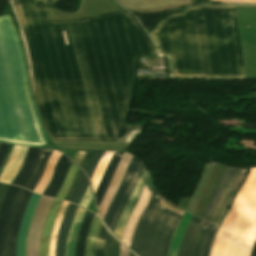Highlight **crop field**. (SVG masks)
<instances>
[{"label": "crop field", "mask_w": 256, "mask_h": 256, "mask_svg": "<svg viewBox=\"0 0 256 256\" xmlns=\"http://www.w3.org/2000/svg\"><path fill=\"white\" fill-rule=\"evenodd\" d=\"M70 162L71 161L67 157H65L63 154L61 155L55 167L53 176L42 195L55 197L61 183L63 182Z\"/></svg>", "instance_id": "crop-field-10"}, {"label": "crop field", "mask_w": 256, "mask_h": 256, "mask_svg": "<svg viewBox=\"0 0 256 256\" xmlns=\"http://www.w3.org/2000/svg\"><path fill=\"white\" fill-rule=\"evenodd\" d=\"M87 185H88V182H87L86 175L83 174V176L80 180V183H79V185H78V187H77V189H76V191H75V193L72 197V200H71L72 202H75L77 204L79 203Z\"/></svg>", "instance_id": "crop-field-28"}, {"label": "crop field", "mask_w": 256, "mask_h": 256, "mask_svg": "<svg viewBox=\"0 0 256 256\" xmlns=\"http://www.w3.org/2000/svg\"><path fill=\"white\" fill-rule=\"evenodd\" d=\"M141 161L134 155L133 158L131 159L130 161V164H129V167L114 195V198L109 206V209L104 217V222L105 224L107 225L108 229L111 225V222L113 220V217L118 209V207L120 206L123 198H124V195H125V192L134 176V173L136 171V168L138 166V164L140 163Z\"/></svg>", "instance_id": "crop-field-4"}, {"label": "crop field", "mask_w": 256, "mask_h": 256, "mask_svg": "<svg viewBox=\"0 0 256 256\" xmlns=\"http://www.w3.org/2000/svg\"><path fill=\"white\" fill-rule=\"evenodd\" d=\"M24 189L20 188L14 201H13V205H12V208L9 212V215H8V218H7V221H6V224H5V228H4V234H3V240H2V256H5V249H6V236H7V231H8V228L10 226V223H11V220H12V217H13V213H14V210L16 208V205L19 201V198L22 194Z\"/></svg>", "instance_id": "crop-field-26"}, {"label": "crop field", "mask_w": 256, "mask_h": 256, "mask_svg": "<svg viewBox=\"0 0 256 256\" xmlns=\"http://www.w3.org/2000/svg\"><path fill=\"white\" fill-rule=\"evenodd\" d=\"M112 154H113V152L105 151L101 161L99 162V164L90 180L91 184H92L93 192L95 191V189L100 181V178H101Z\"/></svg>", "instance_id": "crop-field-23"}, {"label": "crop field", "mask_w": 256, "mask_h": 256, "mask_svg": "<svg viewBox=\"0 0 256 256\" xmlns=\"http://www.w3.org/2000/svg\"><path fill=\"white\" fill-rule=\"evenodd\" d=\"M200 221V218L193 216L181 240L178 256H187L188 246L194 234V231Z\"/></svg>", "instance_id": "crop-field-20"}, {"label": "crop field", "mask_w": 256, "mask_h": 256, "mask_svg": "<svg viewBox=\"0 0 256 256\" xmlns=\"http://www.w3.org/2000/svg\"><path fill=\"white\" fill-rule=\"evenodd\" d=\"M78 169L79 168L76 165L71 163V165L69 167V170H68V173H67V176H66L60 190L58 191V193L56 195L57 198H61V199L64 198V196H65V194H66V192H67L75 174L77 173Z\"/></svg>", "instance_id": "crop-field-25"}, {"label": "crop field", "mask_w": 256, "mask_h": 256, "mask_svg": "<svg viewBox=\"0 0 256 256\" xmlns=\"http://www.w3.org/2000/svg\"><path fill=\"white\" fill-rule=\"evenodd\" d=\"M246 171L247 169H239L227 166L219 185L217 184L218 186L208 202L207 209L202 217L203 219L209 222L211 221L225 194L234 196L238 186L246 175ZM231 199V196L225 195L212 220V223L219 226Z\"/></svg>", "instance_id": "crop-field-3"}, {"label": "crop field", "mask_w": 256, "mask_h": 256, "mask_svg": "<svg viewBox=\"0 0 256 256\" xmlns=\"http://www.w3.org/2000/svg\"><path fill=\"white\" fill-rule=\"evenodd\" d=\"M8 146H9V144L0 143V165H1L2 161H3V159H4V156L6 154Z\"/></svg>", "instance_id": "crop-field-34"}, {"label": "crop field", "mask_w": 256, "mask_h": 256, "mask_svg": "<svg viewBox=\"0 0 256 256\" xmlns=\"http://www.w3.org/2000/svg\"><path fill=\"white\" fill-rule=\"evenodd\" d=\"M28 151L27 147L15 146L13 152L10 156V160L0 175V181L11 183L14 176L21 167V164L25 158V155Z\"/></svg>", "instance_id": "crop-field-9"}, {"label": "crop field", "mask_w": 256, "mask_h": 256, "mask_svg": "<svg viewBox=\"0 0 256 256\" xmlns=\"http://www.w3.org/2000/svg\"><path fill=\"white\" fill-rule=\"evenodd\" d=\"M92 196H91V193H90V190H89V187L87 188L81 202H80V205L84 206L87 208L90 200H91Z\"/></svg>", "instance_id": "crop-field-32"}, {"label": "crop field", "mask_w": 256, "mask_h": 256, "mask_svg": "<svg viewBox=\"0 0 256 256\" xmlns=\"http://www.w3.org/2000/svg\"><path fill=\"white\" fill-rule=\"evenodd\" d=\"M39 198H40L39 195H36L33 193L27 204L25 214L22 220V224L19 230L17 242H16V256H25L26 236L30 227L31 217L39 201Z\"/></svg>", "instance_id": "crop-field-7"}, {"label": "crop field", "mask_w": 256, "mask_h": 256, "mask_svg": "<svg viewBox=\"0 0 256 256\" xmlns=\"http://www.w3.org/2000/svg\"><path fill=\"white\" fill-rule=\"evenodd\" d=\"M159 199L154 188L133 234L130 249L138 256L168 255L169 243L181 216L158 206Z\"/></svg>", "instance_id": "crop-field-2"}, {"label": "crop field", "mask_w": 256, "mask_h": 256, "mask_svg": "<svg viewBox=\"0 0 256 256\" xmlns=\"http://www.w3.org/2000/svg\"><path fill=\"white\" fill-rule=\"evenodd\" d=\"M148 176H149V172L147 171V169L144 166L143 170L141 171V173L136 181V184L133 188L131 196L121 214V217H120L117 227L115 229L114 235L116 237H118L120 240L122 239V235H123V231L126 226V223L131 215V212H132L134 206L136 205V203L138 201L139 195L144 187V183L147 180Z\"/></svg>", "instance_id": "crop-field-5"}, {"label": "crop field", "mask_w": 256, "mask_h": 256, "mask_svg": "<svg viewBox=\"0 0 256 256\" xmlns=\"http://www.w3.org/2000/svg\"><path fill=\"white\" fill-rule=\"evenodd\" d=\"M7 187H8L7 184L1 183V185H0V207H1L2 201L4 199Z\"/></svg>", "instance_id": "crop-field-35"}, {"label": "crop field", "mask_w": 256, "mask_h": 256, "mask_svg": "<svg viewBox=\"0 0 256 256\" xmlns=\"http://www.w3.org/2000/svg\"><path fill=\"white\" fill-rule=\"evenodd\" d=\"M17 190H18V187H16V186H12V185L9 186V189L6 193L3 205L0 210V248H1V239H2V234H3L4 224H5L8 212L11 208L12 201H13V198H14Z\"/></svg>", "instance_id": "crop-field-17"}, {"label": "crop field", "mask_w": 256, "mask_h": 256, "mask_svg": "<svg viewBox=\"0 0 256 256\" xmlns=\"http://www.w3.org/2000/svg\"><path fill=\"white\" fill-rule=\"evenodd\" d=\"M111 238H112V236L110 235V233H108L107 240L105 243L104 256H108Z\"/></svg>", "instance_id": "crop-field-37"}, {"label": "crop field", "mask_w": 256, "mask_h": 256, "mask_svg": "<svg viewBox=\"0 0 256 256\" xmlns=\"http://www.w3.org/2000/svg\"><path fill=\"white\" fill-rule=\"evenodd\" d=\"M60 154L61 153H59L56 150L53 151V153H52V155H51V157H50V159L47 163V167H46V170L44 172V175H43L41 181L39 182V184L34 189V192L42 194L43 190L45 189L46 185L48 184V182L51 178L53 167H54L56 161L58 160Z\"/></svg>", "instance_id": "crop-field-19"}, {"label": "crop field", "mask_w": 256, "mask_h": 256, "mask_svg": "<svg viewBox=\"0 0 256 256\" xmlns=\"http://www.w3.org/2000/svg\"><path fill=\"white\" fill-rule=\"evenodd\" d=\"M202 226L207 228V231H206L205 235L202 238V242H201V245H200L198 256H208L210 245H211V242H212L213 237L215 235L216 227L209 224L208 222H206L204 220H201V222H200V224H199V226H198V228L195 232V235H194V237L192 239V242L190 244V247H189L188 256L192 255V251H193V248H194V245H195L197 234H198V232H199V230Z\"/></svg>", "instance_id": "crop-field-13"}, {"label": "crop field", "mask_w": 256, "mask_h": 256, "mask_svg": "<svg viewBox=\"0 0 256 256\" xmlns=\"http://www.w3.org/2000/svg\"><path fill=\"white\" fill-rule=\"evenodd\" d=\"M52 151L53 150L50 149L40 148L36 160L31 168V171L24 183L22 184L23 187H26L33 191L43 175L47 160L50 157Z\"/></svg>", "instance_id": "crop-field-8"}, {"label": "crop field", "mask_w": 256, "mask_h": 256, "mask_svg": "<svg viewBox=\"0 0 256 256\" xmlns=\"http://www.w3.org/2000/svg\"><path fill=\"white\" fill-rule=\"evenodd\" d=\"M119 246L120 244L113 238L111 247H110L109 256H118Z\"/></svg>", "instance_id": "crop-field-31"}, {"label": "crop field", "mask_w": 256, "mask_h": 256, "mask_svg": "<svg viewBox=\"0 0 256 256\" xmlns=\"http://www.w3.org/2000/svg\"><path fill=\"white\" fill-rule=\"evenodd\" d=\"M92 153H93V151H88V152H87V155H86L85 159L82 161V163H81V165H80L82 168L85 169V167H86V165H87V163H88V161H89V159H90Z\"/></svg>", "instance_id": "crop-field-38"}, {"label": "crop field", "mask_w": 256, "mask_h": 256, "mask_svg": "<svg viewBox=\"0 0 256 256\" xmlns=\"http://www.w3.org/2000/svg\"><path fill=\"white\" fill-rule=\"evenodd\" d=\"M62 202L63 201L55 199L50 208L49 214L47 216V219L42 231L39 256H48V247H49L51 229L54 225L58 210Z\"/></svg>", "instance_id": "crop-field-11"}, {"label": "crop field", "mask_w": 256, "mask_h": 256, "mask_svg": "<svg viewBox=\"0 0 256 256\" xmlns=\"http://www.w3.org/2000/svg\"><path fill=\"white\" fill-rule=\"evenodd\" d=\"M205 231V228L202 227L198 237H197V241H196V245H195V248H194V252H193V255L192 256H197V252H198V248H199V245H200V241H201V238H202V235Z\"/></svg>", "instance_id": "crop-field-33"}, {"label": "crop field", "mask_w": 256, "mask_h": 256, "mask_svg": "<svg viewBox=\"0 0 256 256\" xmlns=\"http://www.w3.org/2000/svg\"><path fill=\"white\" fill-rule=\"evenodd\" d=\"M38 150L39 149L34 148L29 149L21 169L19 170L11 184L21 186L30 171L31 165L35 159Z\"/></svg>", "instance_id": "crop-field-18"}, {"label": "crop field", "mask_w": 256, "mask_h": 256, "mask_svg": "<svg viewBox=\"0 0 256 256\" xmlns=\"http://www.w3.org/2000/svg\"><path fill=\"white\" fill-rule=\"evenodd\" d=\"M123 152H114L108 166L107 169L98 185L97 191L95 193V197H96V201H97V205L100 204V202L102 201L104 194L106 192V189L111 181V178L118 166L119 160L122 156Z\"/></svg>", "instance_id": "crop-field-12"}, {"label": "crop field", "mask_w": 256, "mask_h": 256, "mask_svg": "<svg viewBox=\"0 0 256 256\" xmlns=\"http://www.w3.org/2000/svg\"><path fill=\"white\" fill-rule=\"evenodd\" d=\"M31 192L24 190L11 223L10 231L7 238L6 256H15V242L20 227V223L24 214L26 204L31 196Z\"/></svg>", "instance_id": "crop-field-6"}, {"label": "crop field", "mask_w": 256, "mask_h": 256, "mask_svg": "<svg viewBox=\"0 0 256 256\" xmlns=\"http://www.w3.org/2000/svg\"><path fill=\"white\" fill-rule=\"evenodd\" d=\"M251 256H256V242L254 244L253 250H252V255Z\"/></svg>", "instance_id": "crop-field-39"}, {"label": "crop field", "mask_w": 256, "mask_h": 256, "mask_svg": "<svg viewBox=\"0 0 256 256\" xmlns=\"http://www.w3.org/2000/svg\"><path fill=\"white\" fill-rule=\"evenodd\" d=\"M100 224H101L100 219L95 215L90 227L87 241H86L85 256H94L95 239H96Z\"/></svg>", "instance_id": "crop-field-21"}, {"label": "crop field", "mask_w": 256, "mask_h": 256, "mask_svg": "<svg viewBox=\"0 0 256 256\" xmlns=\"http://www.w3.org/2000/svg\"><path fill=\"white\" fill-rule=\"evenodd\" d=\"M85 210L81 209V208H77L75 216L73 218L69 233L73 227V223L74 220L78 221V222H82L83 216H84ZM74 223V227L70 233V238H69V244H68V252H67V243H68V237H69V233H68V237H67V241H66V246H65V256H66V252H67V256H74V252H75V244H76V238H77V234L80 228V223L76 222Z\"/></svg>", "instance_id": "crop-field-15"}, {"label": "crop field", "mask_w": 256, "mask_h": 256, "mask_svg": "<svg viewBox=\"0 0 256 256\" xmlns=\"http://www.w3.org/2000/svg\"><path fill=\"white\" fill-rule=\"evenodd\" d=\"M130 256H134V255H132V254L130 253Z\"/></svg>", "instance_id": "crop-field-40"}, {"label": "crop field", "mask_w": 256, "mask_h": 256, "mask_svg": "<svg viewBox=\"0 0 256 256\" xmlns=\"http://www.w3.org/2000/svg\"><path fill=\"white\" fill-rule=\"evenodd\" d=\"M103 153H104V151H95L90 162L88 163L86 169L84 170L85 173L88 175L89 179H90V176H91L95 166L97 165L100 158L102 157Z\"/></svg>", "instance_id": "crop-field-29"}, {"label": "crop field", "mask_w": 256, "mask_h": 256, "mask_svg": "<svg viewBox=\"0 0 256 256\" xmlns=\"http://www.w3.org/2000/svg\"><path fill=\"white\" fill-rule=\"evenodd\" d=\"M82 173L83 172L79 169V171H78V173H77V175H76V177H75V179H74V181H73V183L71 185V188H70V190H69V192H68V194H67V196L65 198L66 200L70 201V199H71V197L73 195V192H74V190H75V188H76V186H77V184H78V182H79V180L81 178Z\"/></svg>", "instance_id": "crop-field-30"}, {"label": "crop field", "mask_w": 256, "mask_h": 256, "mask_svg": "<svg viewBox=\"0 0 256 256\" xmlns=\"http://www.w3.org/2000/svg\"><path fill=\"white\" fill-rule=\"evenodd\" d=\"M93 217H94V214L86 211L79 234H78V238H77L75 256H84L85 241H86L88 230Z\"/></svg>", "instance_id": "crop-field-16"}, {"label": "crop field", "mask_w": 256, "mask_h": 256, "mask_svg": "<svg viewBox=\"0 0 256 256\" xmlns=\"http://www.w3.org/2000/svg\"><path fill=\"white\" fill-rule=\"evenodd\" d=\"M85 153H86V151H77L73 160L80 165Z\"/></svg>", "instance_id": "crop-field-36"}, {"label": "crop field", "mask_w": 256, "mask_h": 256, "mask_svg": "<svg viewBox=\"0 0 256 256\" xmlns=\"http://www.w3.org/2000/svg\"><path fill=\"white\" fill-rule=\"evenodd\" d=\"M76 206L69 204L67 212L65 214L64 220L60 226L58 241H57V248H56V256H64V246L67 237V233L74 216Z\"/></svg>", "instance_id": "crop-field-14"}, {"label": "crop field", "mask_w": 256, "mask_h": 256, "mask_svg": "<svg viewBox=\"0 0 256 256\" xmlns=\"http://www.w3.org/2000/svg\"><path fill=\"white\" fill-rule=\"evenodd\" d=\"M107 233L108 231L103 226V224H101V227L96 239L95 256H103L104 243L106 240Z\"/></svg>", "instance_id": "crop-field-27"}, {"label": "crop field", "mask_w": 256, "mask_h": 256, "mask_svg": "<svg viewBox=\"0 0 256 256\" xmlns=\"http://www.w3.org/2000/svg\"><path fill=\"white\" fill-rule=\"evenodd\" d=\"M68 206V202H63L61 209L58 213L53 231H52V235H51V239H50V248H49V256H55V247H56V238H57V234H58V229H59V225L64 217L65 211L67 209Z\"/></svg>", "instance_id": "crop-field-22"}, {"label": "crop field", "mask_w": 256, "mask_h": 256, "mask_svg": "<svg viewBox=\"0 0 256 256\" xmlns=\"http://www.w3.org/2000/svg\"><path fill=\"white\" fill-rule=\"evenodd\" d=\"M143 165H144V164L141 162L140 165H139V167H138V169H137V171H136V173H135V176H134V178H133V180H132V182H131V184H130V186H129L127 192H126L125 198H124V200H123L121 206L119 207V209H118V211H117V213H116V215H115V217H114L113 223H112V225H111V227H110V229H109L112 233L114 232V229H115V226H116V224H117V221H118V219H119V217H120V214H121V212H122V210H123V208H124V206H125V204H126L128 198H129V196H130V193H131V191H132V188H133V186H134V184H135V181H136V179H137V177H138V175H139V173H140V171H141Z\"/></svg>", "instance_id": "crop-field-24"}, {"label": "crop field", "mask_w": 256, "mask_h": 256, "mask_svg": "<svg viewBox=\"0 0 256 256\" xmlns=\"http://www.w3.org/2000/svg\"><path fill=\"white\" fill-rule=\"evenodd\" d=\"M255 240L256 167H252L219 228L210 256H250Z\"/></svg>", "instance_id": "crop-field-1"}]
</instances>
